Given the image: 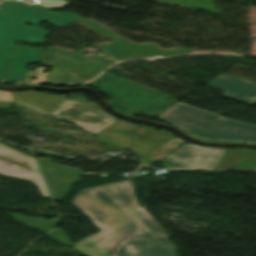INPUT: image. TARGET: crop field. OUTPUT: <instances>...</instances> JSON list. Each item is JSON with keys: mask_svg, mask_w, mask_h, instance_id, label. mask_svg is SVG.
I'll return each mask as SVG.
<instances>
[{"mask_svg": "<svg viewBox=\"0 0 256 256\" xmlns=\"http://www.w3.org/2000/svg\"><path fill=\"white\" fill-rule=\"evenodd\" d=\"M72 202L101 230L74 244L86 256H116L123 238L142 228L153 240L169 237L139 207L129 180L84 190Z\"/></svg>", "mask_w": 256, "mask_h": 256, "instance_id": "crop-field-1", "label": "crop field"}, {"mask_svg": "<svg viewBox=\"0 0 256 256\" xmlns=\"http://www.w3.org/2000/svg\"><path fill=\"white\" fill-rule=\"evenodd\" d=\"M81 19L72 12L60 13L23 2L4 1L3 11H0V57H10L14 41L44 43L50 30L36 27L42 21L58 28ZM27 22L33 24L32 27L27 26Z\"/></svg>", "mask_w": 256, "mask_h": 256, "instance_id": "crop-field-2", "label": "crop field"}, {"mask_svg": "<svg viewBox=\"0 0 256 256\" xmlns=\"http://www.w3.org/2000/svg\"><path fill=\"white\" fill-rule=\"evenodd\" d=\"M159 119L208 141L256 143V127L178 104Z\"/></svg>", "mask_w": 256, "mask_h": 256, "instance_id": "crop-field-3", "label": "crop field"}, {"mask_svg": "<svg viewBox=\"0 0 256 256\" xmlns=\"http://www.w3.org/2000/svg\"><path fill=\"white\" fill-rule=\"evenodd\" d=\"M88 85L109 96L114 108L132 116L142 113L155 118L178 102L106 73Z\"/></svg>", "mask_w": 256, "mask_h": 256, "instance_id": "crop-field-4", "label": "crop field"}, {"mask_svg": "<svg viewBox=\"0 0 256 256\" xmlns=\"http://www.w3.org/2000/svg\"><path fill=\"white\" fill-rule=\"evenodd\" d=\"M95 135L101 138L102 143L137 153L136 157L142 158L138 162L146 164L152 162V160L146 159L147 156L174 137L172 133L167 131L159 132L153 129H144L137 124L122 120Z\"/></svg>", "mask_w": 256, "mask_h": 256, "instance_id": "crop-field-5", "label": "crop field"}, {"mask_svg": "<svg viewBox=\"0 0 256 256\" xmlns=\"http://www.w3.org/2000/svg\"><path fill=\"white\" fill-rule=\"evenodd\" d=\"M53 116L71 120L73 124L93 134L116 122L113 117L102 112L95 103L87 102L83 95L70 96L65 104L53 113Z\"/></svg>", "mask_w": 256, "mask_h": 256, "instance_id": "crop-field-6", "label": "crop field"}, {"mask_svg": "<svg viewBox=\"0 0 256 256\" xmlns=\"http://www.w3.org/2000/svg\"><path fill=\"white\" fill-rule=\"evenodd\" d=\"M103 59L102 56L95 55L87 58L68 50L47 47L40 63L48 67L58 66L92 79L114 62Z\"/></svg>", "mask_w": 256, "mask_h": 256, "instance_id": "crop-field-7", "label": "crop field"}, {"mask_svg": "<svg viewBox=\"0 0 256 256\" xmlns=\"http://www.w3.org/2000/svg\"><path fill=\"white\" fill-rule=\"evenodd\" d=\"M79 23L102 34L106 38L113 39L112 43L99 46L98 48L102 55H108L117 61L132 57H162L192 52V50L161 51L157 50L155 45H133L91 21L81 20Z\"/></svg>", "mask_w": 256, "mask_h": 256, "instance_id": "crop-field-8", "label": "crop field"}, {"mask_svg": "<svg viewBox=\"0 0 256 256\" xmlns=\"http://www.w3.org/2000/svg\"><path fill=\"white\" fill-rule=\"evenodd\" d=\"M226 149L187 143L161 162L165 167L216 169Z\"/></svg>", "mask_w": 256, "mask_h": 256, "instance_id": "crop-field-9", "label": "crop field"}, {"mask_svg": "<svg viewBox=\"0 0 256 256\" xmlns=\"http://www.w3.org/2000/svg\"><path fill=\"white\" fill-rule=\"evenodd\" d=\"M0 174L32 180L42 195L49 197L34 159L3 145H0Z\"/></svg>", "mask_w": 256, "mask_h": 256, "instance_id": "crop-field-10", "label": "crop field"}, {"mask_svg": "<svg viewBox=\"0 0 256 256\" xmlns=\"http://www.w3.org/2000/svg\"><path fill=\"white\" fill-rule=\"evenodd\" d=\"M117 256H174L170 239L152 242L140 230L124 238Z\"/></svg>", "mask_w": 256, "mask_h": 256, "instance_id": "crop-field-11", "label": "crop field"}, {"mask_svg": "<svg viewBox=\"0 0 256 256\" xmlns=\"http://www.w3.org/2000/svg\"><path fill=\"white\" fill-rule=\"evenodd\" d=\"M37 161L49 189L57 191L52 194L55 200H59L82 173L79 170L51 163V159L39 157Z\"/></svg>", "mask_w": 256, "mask_h": 256, "instance_id": "crop-field-12", "label": "crop field"}, {"mask_svg": "<svg viewBox=\"0 0 256 256\" xmlns=\"http://www.w3.org/2000/svg\"><path fill=\"white\" fill-rule=\"evenodd\" d=\"M44 50L14 45L5 81L23 82L28 63H39Z\"/></svg>", "mask_w": 256, "mask_h": 256, "instance_id": "crop-field-13", "label": "crop field"}, {"mask_svg": "<svg viewBox=\"0 0 256 256\" xmlns=\"http://www.w3.org/2000/svg\"><path fill=\"white\" fill-rule=\"evenodd\" d=\"M208 84L222 90L225 96L245 102L252 103L253 98L256 96V83L237 77L221 74L216 80ZM231 92H236V95H231ZM242 96L248 98L246 99Z\"/></svg>", "mask_w": 256, "mask_h": 256, "instance_id": "crop-field-14", "label": "crop field"}, {"mask_svg": "<svg viewBox=\"0 0 256 256\" xmlns=\"http://www.w3.org/2000/svg\"><path fill=\"white\" fill-rule=\"evenodd\" d=\"M12 97L13 100L20 101L48 113L53 112L63 102V99L56 96L32 91L14 92L12 93Z\"/></svg>", "mask_w": 256, "mask_h": 256, "instance_id": "crop-field-15", "label": "crop field"}, {"mask_svg": "<svg viewBox=\"0 0 256 256\" xmlns=\"http://www.w3.org/2000/svg\"><path fill=\"white\" fill-rule=\"evenodd\" d=\"M240 164H256V150L228 149L217 169H237Z\"/></svg>", "mask_w": 256, "mask_h": 256, "instance_id": "crop-field-16", "label": "crop field"}, {"mask_svg": "<svg viewBox=\"0 0 256 256\" xmlns=\"http://www.w3.org/2000/svg\"><path fill=\"white\" fill-rule=\"evenodd\" d=\"M2 212L13 217L14 220H16L30 228L37 229L43 233L50 230L58 222L57 218H53L49 222L43 218H32V217H28V216H23L21 214L10 213V212H5V211H2Z\"/></svg>", "mask_w": 256, "mask_h": 256, "instance_id": "crop-field-17", "label": "crop field"}, {"mask_svg": "<svg viewBox=\"0 0 256 256\" xmlns=\"http://www.w3.org/2000/svg\"><path fill=\"white\" fill-rule=\"evenodd\" d=\"M183 142H185V141H183L181 138L174 137L166 145H164L162 148H160L159 150H157L155 153H153L152 155H150L147 158L159 161L165 155H167L170 151H172L174 148H176L177 146H179Z\"/></svg>", "mask_w": 256, "mask_h": 256, "instance_id": "crop-field-18", "label": "crop field"}, {"mask_svg": "<svg viewBox=\"0 0 256 256\" xmlns=\"http://www.w3.org/2000/svg\"><path fill=\"white\" fill-rule=\"evenodd\" d=\"M71 75L67 74L64 70L54 67L46 82H58V83H80V82H69Z\"/></svg>", "mask_w": 256, "mask_h": 256, "instance_id": "crop-field-19", "label": "crop field"}, {"mask_svg": "<svg viewBox=\"0 0 256 256\" xmlns=\"http://www.w3.org/2000/svg\"><path fill=\"white\" fill-rule=\"evenodd\" d=\"M46 236L61 244L71 246L69 238L64 234V232L60 228H55Z\"/></svg>", "mask_w": 256, "mask_h": 256, "instance_id": "crop-field-20", "label": "crop field"}, {"mask_svg": "<svg viewBox=\"0 0 256 256\" xmlns=\"http://www.w3.org/2000/svg\"><path fill=\"white\" fill-rule=\"evenodd\" d=\"M37 4L45 6L47 8L55 7L62 9L65 7L69 2L63 1V0H35Z\"/></svg>", "mask_w": 256, "mask_h": 256, "instance_id": "crop-field-21", "label": "crop field"}, {"mask_svg": "<svg viewBox=\"0 0 256 256\" xmlns=\"http://www.w3.org/2000/svg\"><path fill=\"white\" fill-rule=\"evenodd\" d=\"M9 59L0 58V81H4Z\"/></svg>", "mask_w": 256, "mask_h": 256, "instance_id": "crop-field-22", "label": "crop field"}, {"mask_svg": "<svg viewBox=\"0 0 256 256\" xmlns=\"http://www.w3.org/2000/svg\"><path fill=\"white\" fill-rule=\"evenodd\" d=\"M12 102H2L0 103V109H10Z\"/></svg>", "mask_w": 256, "mask_h": 256, "instance_id": "crop-field-23", "label": "crop field"}, {"mask_svg": "<svg viewBox=\"0 0 256 256\" xmlns=\"http://www.w3.org/2000/svg\"><path fill=\"white\" fill-rule=\"evenodd\" d=\"M256 101V100H255ZM256 103V102H255Z\"/></svg>", "mask_w": 256, "mask_h": 256, "instance_id": "crop-field-24", "label": "crop field"}]
</instances>
